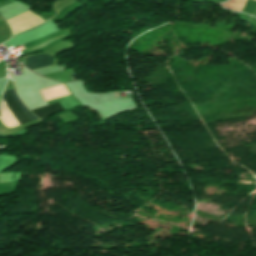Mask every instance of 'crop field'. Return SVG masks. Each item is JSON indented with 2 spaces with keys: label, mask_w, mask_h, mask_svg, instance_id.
Listing matches in <instances>:
<instances>
[{
  "label": "crop field",
  "mask_w": 256,
  "mask_h": 256,
  "mask_svg": "<svg viewBox=\"0 0 256 256\" xmlns=\"http://www.w3.org/2000/svg\"><path fill=\"white\" fill-rule=\"evenodd\" d=\"M53 58L45 54H38L27 57V67L31 70L49 66L52 64ZM47 68V67H46Z\"/></svg>",
  "instance_id": "2"
},
{
  "label": "crop field",
  "mask_w": 256,
  "mask_h": 256,
  "mask_svg": "<svg viewBox=\"0 0 256 256\" xmlns=\"http://www.w3.org/2000/svg\"><path fill=\"white\" fill-rule=\"evenodd\" d=\"M60 111H63V108H62L61 104L58 102V103H55V104H52V105H49L46 107L34 109L31 112L41 119L46 116L58 113Z\"/></svg>",
  "instance_id": "3"
},
{
  "label": "crop field",
  "mask_w": 256,
  "mask_h": 256,
  "mask_svg": "<svg viewBox=\"0 0 256 256\" xmlns=\"http://www.w3.org/2000/svg\"><path fill=\"white\" fill-rule=\"evenodd\" d=\"M10 93L14 97L15 101L17 102L18 106L22 109V111L28 116V118L33 121L37 120L34 115H32L24 106L23 104L19 101L17 96L15 95L14 90H11ZM9 91L5 92V95L3 97L4 101L7 103V105L10 107L12 112L15 114V116L18 118V120L23 123L30 122V120L27 118V116L20 110V108L17 106L16 102L14 101L13 97Z\"/></svg>",
  "instance_id": "1"
}]
</instances>
